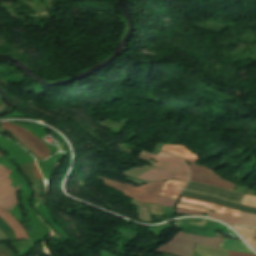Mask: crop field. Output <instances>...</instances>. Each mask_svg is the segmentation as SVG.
Returning a JSON list of instances; mask_svg holds the SVG:
<instances>
[{
	"label": "crop field",
	"mask_w": 256,
	"mask_h": 256,
	"mask_svg": "<svg viewBox=\"0 0 256 256\" xmlns=\"http://www.w3.org/2000/svg\"><path fill=\"white\" fill-rule=\"evenodd\" d=\"M19 186H17L12 192L4 195L2 198H0V205L6 209V210H11L16 204H17V199L15 194L17 193V189Z\"/></svg>",
	"instance_id": "3316defc"
},
{
	"label": "crop field",
	"mask_w": 256,
	"mask_h": 256,
	"mask_svg": "<svg viewBox=\"0 0 256 256\" xmlns=\"http://www.w3.org/2000/svg\"><path fill=\"white\" fill-rule=\"evenodd\" d=\"M178 208H183V209H189V210H194V211H199V212H207V210H205L204 208L202 207H196V206H191V205H186V204H181L179 203L177 205Z\"/></svg>",
	"instance_id": "5142ce71"
},
{
	"label": "crop field",
	"mask_w": 256,
	"mask_h": 256,
	"mask_svg": "<svg viewBox=\"0 0 256 256\" xmlns=\"http://www.w3.org/2000/svg\"><path fill=\"white\" fill-rule=\"evenodd\" d=\"M1 131V130H0ZM1 132H3V131H1ZM4 133V132H3Z\"/></svg>",
	"instance_id": "a9b5d70f"
},
{
	"label": "crop field",
	"mask_w": 256,
	"mask_h": 256,
	"mask_svg": "<svg viewBox=\"0 0 256 256\" xmlns=\"http://www.w3.org/2000/svg\"><path fill=\"white\" fill-rule=\"evenodd\" d=\"M19 167L29 179L42 178L34 162L23 164Z\"/></svg>",
	"instance_id": "28ad6ade"
},
{
	"label": "crop field",
	"mask_w": 256,
	"mask_h": 256,
	"mask_svg": "<svg viewBox=\"0 0 256 256\" xmlns=\"http://www.w3.org/2000/svg\"><path fill=\"white\" fill-rule=\"evenodd\" d=\"M0 124L2 125L0 127L10 132L21 142L28 145L40 159H44L49 156L48 149L44 143L29 131L8 122H1Z\"/></svg>",
	"instance_id": "412701ff"
},
{
	"label": "crop field",
	"mask_w": 256,
	"mask_h": 256,
	"mask_svg": "<svg viewBox=\"0 0 256 256\" xmlns=\"http://www.w3.org/2000/svg\"><path fill=\"white\" fill-rule=\"evenodd\" d=\"M209 216L210 217H214V218H216V219H218L220 221H223V222H225V223H227L229 225L240 220V218L229 217V216L218 214V213H210Z\"/></svg>",
	"instance_id": "cbeb9de0"
},
{
	"label": "crop field",
	"mask_w": 256,
	"mask_h": 256,
	"mask_svg": "<svg viewBox=\"0 0 256 256\" xmlns=\"http://www.w3.org/2000/svg\"><path fill=\"white\" fill-rule=\"evenodd\" d=\"M175 200H172V199H165V198H159L157 204H160V205H164V206H169V207H172L173 204H174Z\"/></svg>",
	"instance_id": "4a817a6b"
},
{
	"label": "crop field",
	"mask_w": 256,
	"mask_h": 256,
	"mask_svg": "<svg viewBox=\"0 0 256 256\" xmlns=\"http://www.w3.org/2000/svg\"><path fill=\"white\" fill-rule=\"evenodd\" d=\"M7 171H8L7 168L0 165V176L3 175L4 173H6Z\"/></svg>",
	"instance_id": "92a150f3"
},
{
	"label": "crop field",
	"mask_w": 256,
	"mask_h": 256,
	"mask_svg": "<svg viewBox=\"0 0 256 256\" xmlns=\"http://www.w3.org/2000/svg\"><path fill=\"white\" fill-rule=\"evenodd\" d=\"M9 172H10V170H9L6 174H4L2 177H0V182H1L3 179H5L6 177H8ZM10 183H11V182L9 181V179L6 178V179L3 181V183L0 184V192H1L2 190H4Z\"/></svg>",
	"instance_id": "d9b57169"
},
{
	"label": "crop field",
	"mask_w": 256,
	"mask_h": 256,
	"mask_svg": "<svg viewBox=\"0 0 256 256\" xmlns=\"http://www.w3.org/2000/svg\"><path fill=\"white\" fill-rule=\"evenodd\" d=\"M222 249L254 254L243 242L224 239Z\"/></svg>",
	"instance_id": "5a996713"
},
{
	"label": "crop field",
	"mask_w": 256,
	"mask_h": 256,
	"mask_svg": "<svg viewBox=\"0 0 256 256\" xmlns=\"http://www.w3.org/2000/svg\"><path fill=\"white\" fill-rule=\"evenodd\" d=\"M1 156V155H0Z\"/></svg>",
	"instance_id": "4177f3b9"
},
{
	"label": "crop field",
	"mask_w": 256,
	"mask_h": 256,
	"mask_svg": "<svg viewBox=\"0 0 256 256\" xmlns=\"http://www.w3.org/2000/svg\"><path fill=\"white\" fill-rule=\"evenodd\" d=\"M0 217H2L9 224V226L14 230V232L16 233L17 239L24 238V235L21 229L9 217H7L1 210H0Z\"/></svg>",
	"instance_id": "22f410ed"
},
{
	"label": "crop field",
	"mask_w": 256,
	"mask_h": 256,
	"mask_svg": "<svg viewBox=\"0 0 256 256\" xmlns=\"http://www.w3.org/2000/svg\"><path fill=\"white\" fill-rule=\"evenodd\" d=\"M176 212H178V213H184V214H192V215H199V216H202V214H199V213H195V212H191V211H186V210H180V209H177Z\"/></svg>",
	"instance_id": "bc2a9ffb"
},
{
	"label": "crop field",
	"mask_w": 256,
	"mask_h": 256,
	"mask_svg": "<svg viewBox=\"0 0 256 256\" xmlns=\"http://www.w3.org/2000/svg\"><path fill=\"white\" fill-rule=\"evenodd\" d=\"M229 256H256V255L243 254V253H237V252H231V251H229Z\"/></svg>",
	"instance_id": "214f88e0"
},
{
	"label": "crop field",
	"mask_w": 256,
	"mask_h": 256,
	"mask_svg": "<svg viewBox=\"0 0 256 256\" xmlns=\"http://www.w3.org/2000/svg\"><path fill=\"white\" fill-rule=\"evenodd\" d=\"M174 174L159 170V169H152L151 171L137 177L146 181H158V180H170L172 179Z\"/></svg>",
	"instance_id": "d8731c3e"
},
{
	"label": "crop field",
	"mask_w": 256,
	"mask_h": 256,
	"mask_svg": "<svg viewBox=\"0 0 256 256\" xmlns=\"http://www.w3.org/2000/svg\"><path fill=\"white\" fill-rule=\"evenodd\" d=\"M180 201H185V202L192 203V204L202 205L208 209H212L219 213H223V214L234 216V217H237L239 214V211H235V210L225 208V207H222L219 205L211 204V203L198 202V201H193V200L184 199V198H181ZM242 204L247 205V206L256 207V197L246 195ZM239 217H241L243 219L234 225H239V226H243V227H249V228L256 229V215L241 212Z\"/></svg>",
	"instance_id": "34b2d1b8"
},
{
	"label": "crop field",
	"mask_w": 256,
	"mask_h": 256,
	"mask_svg": "<svg viewBox=\"0 0 256 256\" xmlns=\"http://www.w3.org/2000/svg\"><path fill=\"white\" fill-rule=\"evenodd\" d=\"M185 183L186 182L166 181L160 194L167 197L178 198Z\"/></svg>",
	"instance_id": "e52e79f7"
},
{
	"label": "crop field",
	"mask_w": 256,
	"mask_h": 256,
	"mask_svg": "<svg viewBox=\"0 0 256 256\" xmlns=\"http://www.w3.org/2000/svg\"><path fill=\"white\" fill-rule=\"evenodd\" d=\"M97 179H103L104 184L111 188L124 192L125 196L133 198L135 200L156 203L158 193L164 184V182H155L150 184H144L138 188L125 185L122 183L114 182L106 178L97 176Z\"/></svg>",
	"instance_id": "ac0d7876"
},
{
	"label": "crop field",
	"mask_w": 256,
	"mask_h": 256,
	"mask_svg": "<svg viewBox=\"0 0 256 256\" xmlns=\"http://www.w3.org/2000/svg\"><path fill=\"white\" fill-rule=\"evenodd\" d=\"M253 239H256V232H255V235H254V238Z\"/></svg>",
	"instance_id": "00972430"
},
{
	"label": "crop field",
	"mask_w": 256,
	"mask_h": 256,
	"mask_svg": "<svg viewBox=\"0 0 256 256\" xmlns=\"http://www.w3.org/2000/svg\"><path fill=\"white\" fill-rule=\"evenodd\" d=\"M234 228L247 243H249L253 248L256 249V241L251 240L255 231L249 230V229H244V228H239V227H234Z\"/></svg>",
	"instance_id": "d1516ede"
},
{
	"label": "crop field",
	"mask_w": 256,
	"mask_h": 256,
	"mask_svg": "<svg viewBox=\"0 0 256 256\" xmlns=\"http://www.w3.org/2000/svg\"><path fill=\"white\" fill-rule=\"evenodd\" d=\"M6 238H7V237H6ZM6 238H5L4 234H3V232L0 230V239L6 240Z\"/></svg>",
	"instance_id": "dafd665d"
},
{
	"label": "crop field",
	"mask_w": 256,
	"mask_h": 256,
	"mask_svg": "<svg viewBox=\"0 0 256 256\" xmlns=\"http://www.w3.org/2000/svg\"><path fill=\"white\" fill-rule=\"evenodd\" d=\"M162 150L176 154L189 162H194L198 159L195 154L191 153L180 145H164Z\"/></svg>",
	"instance_id": "dd49c442"
},
{
	"label": "crop field",
	"mask_w": 256,
	"mask_h": 256,
	"mask_svg": "<svg viewBox=\"0 0 256 256\" xmlns=\"http://www.w3.org/2000/svg\"><path fill=\"white\" fill-rule=\"evenodd\" d=\"M189 168L191 170L190 181L192 182L220 186L228 190H231L233 186L232 183L221 180V178L216 173L207 168L200 167L194 164L190 165Z\"/></svg>",
	"instance_id": "f4fd0767"
},
{
	"label": "crop field",
	"mask_w": 256,
	"mask_h": 256,
	"mask_svg": "<svg viewBox=\"0 0 256 256\" xmlns=\"http://www.w3.org/2000/svg\"><path fill=\"white\" fill-rule=\"evenodd\" d=\"M221 240L220 238H205L178 233L171 242L159 247L157 251L177 256H191L195 243L218 248Z\"/></svg>",
	"instance_id": "8a807250"
},
{
	"label": "crop field",
	"mask_w": 256,
	"mask_h": 256,
	"mask_svg": "<svg viewBox=\"0 0 256 256\" xmlns=\"http://www.w3.org/2000/svg\"><path fill=\"white\" fill-rule=\"evenodd\" d=\"M13 189V187H10V186H8L4 191H2L1 193H0V197H2L4 194H6L7 192H9L10 190H12ZM0 209L1 210H3V211H5L2 207H0ZM6 212V211H5ZM7 213V212H6ZM8 214V213H7ZM18 225H19V227L22 229V231L24 232V234H25V237L26 238H28L27 237V235H26V233H25V231H24V229L21 227V225L10 215V214H8Z\"/></svg>",
	"instance_id": "733c2abd"
}]
</instances>
